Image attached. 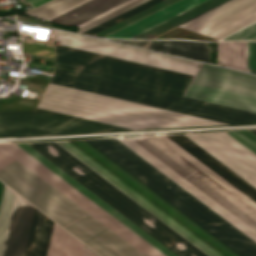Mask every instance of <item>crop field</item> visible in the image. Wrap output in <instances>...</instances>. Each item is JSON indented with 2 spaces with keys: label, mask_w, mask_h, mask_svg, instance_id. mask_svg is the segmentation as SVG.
Returning <instances> with one entry per match:
<instances>
[{
  "label": "crop field",
  "mask_w": 256,
  "mask_h": 256,
  "mask_svg": "<svg viewBox=\"0 0 256 256\" xmlns=\"http://www.w3.org/2000/svg\"><path fill=\"white\" fill-rule=\"evenodd\" d=\"M240 256H256V212L155 137L86 140ZM84 140L56 142L208 256H239ZM54 142L28 143L178 256H207Z\"/></svg>",
  "instance_id": "8a807250"
},
{
  "label": "crop field",
  "mask_w": 256,
  "mask_h": 256,
  "mask_svg": "<svg viewBox=\"0 0 256 256\" xmlns=\"http://www.w3.org/2000/svg\"><path fill=\"white\" fill-rule=\"evenodd\" d=\"M166 256H177L26 143L17 144ZM15 144L0 145L146 256H164ZM0 148V178L23 165ZM0 179L101 256H145L25 166Z\"/></svg>",
  "instance_id": "ac0d7876"
},
{
  "label": "crop field",
  "mask_w": 256,
  "mask_h": 256,
  "mask_svg": "<svg viewBox=\"0 0 256 256\" xmlns=\"http://www.w3.org/2000/svg\"><path fill=\"white\" fill-rule=\"evenodd\" d=\"M38 107L130 129L231 124L52 83Z\"/></svg>",
  "instance_id": "34b2d1b8"
},
{
  "label": "crop field",
  "mask_w": 256,
  "mask_h": 256,
  "mask_svg": "<svg viewBox=\"0 0 256 256\" xmlns=\"http://www.w3.org/2000/svg\"><path fill=\"white\" fill-rule=\"evenodd\" d=\"M52 83L142 102L236 124L256 123V114L57 67Z\"/></svg>",
  "instance_id": "412701ff"
},
{
  "label": "crop field",
  "mask_w": 256,
  "mask_h": 256,
  "mask_svg": "<svg viewBox=\"0 0 256 256\" xmlns=\"http://www.w3.org/2000/svg\"><path fill=\"white\" fill-rule=\"evenodd\" d=\"M57 66L184 96L190 79L55 48Z\"/></svg>",
  "instance_id": "f4fd0767"
},
{
  "label": "crop field",
  "mask_w": 256,
  "mask_h": 256,
  "mask_svg": "<svg viewBox=\"0 0 256 256\" xmlns=\"http://www.w3.org/2000/svg\"><path fill=\"white\" fill-rule=\"evenodd\" d=\"M133 130L36 108L0 113V138L129 132Z\"/></svg>",
  "instance_id": "dd49c442"
},
{
  "label": "crop field",
  "mask_w": 256,
  "mask_h": 256,
  "mask_svg": "<svg viewBox=\"0 0 256 256\" xmlns=\"http://www.w3.org/2000/svg\"><path fill=\"white\" fill-rule=\"evenodd\" d=\"M83 0H52L44 5H41L31 12L39 18L46 19L76 3ZM135 0H85L77 5H74L46 20L63 24H76L80 28L133 2ZM148 0H137L81 29L78 32L83 33L129 9H132Z\"/></svg>",
  "instance_id": "e52e79f7"
},
{
  "label": "crop field",
  "mask_w": 256,
  "mask_h": 256,
  "mask_svg": "<svg viewBox=\"0 0 256 256\" xmlns=\"http://www.w3.org/2000/svg\"><path fill=\"white\" fill-rule=\"evenodd\" d=\"M34 207L4 187L0 204V256H23ZM38 210H34L24 256H28Z\"/></svg>",
  "instance_id": "d8731c3e"
},
{
  "label": "crop field",
  "mask_w": 256,
  "mask_h": 256,
  "mask_svg": "<svg viewBox=\"0 0 256 256\" xmlns=\"http://www.w3.org/2000/svg\"><path fill=\"white\" fill-rule=\"evenodd\" d=\"M256 21V0H229L178 27L221 39Z\"/></svg>",
  "instance_id": "5a996713"
},
{
  "label": "crop field",
  "mask_w": 256,
  "mask_h": 256,
  "mask_svg": "<svg viewBox=\"0 0 256 256\" xmlns=\"http://www.w3.org/2000/svg\"><path fill=\"white\" fill-rule=\"evenodd\" d=\"M256 188V156L225 133L186 135Z\"/></svg>",
  "instance_id": "3316defc"
},
{
  "label": "crop field",
  "mask_w": 256,
  "mask_h": 256,
  "mask_svg": "<svg viewBox=\"0 0 256 256\" xmlns=\"http://www.w3.org/2000/svg\"><path fill=\"white\" fill-rule=\"evenodd\" d=\"M54 36H55V38L61 39V41L55 39V42L60 41V44H62V45H66V46H70V47H74V48H78V49H83V50H87V51H91V52H95V53H100V54H104V55H108V56H112V57H116V58H121V59L129 60V61H133V62H138V63H142V64L154 66V67H159V68H163V69H167V70H171V71H176V72H180V73H184V74H188V75H192V76H195L196 71L198 69L196 67H192V66H188V65H184V64H179V63H175V62H171V61H167V60L149 57V56H145V55H141V54H137V53H132V52L115 49V48H111V47H107V46H103V45L85 42V41L68 38V37H64V36H60V35H56V34H54ZM62 45L55 46V47L78 52V53H83V54H87V55H91V56H95V57H100V58H104V59H108V60H113V61H117V62H121V63H126V64H130V65H134V66H139V67H143V68H147V69H152V70H156V71H160V72H164V73H169V74H173V75H177V76H182V77H186V78H190V79L193 78L192 76H188V75H184V74H180V73H176V72H171V71H167V70H163V69H159V68H154V67H150V66H146V65H142V64H138V63H133V62H129V61L121 60V59H116V58H112V57H108V56H104V55H100V54H95V53H91V52H87V51H83V50H78V49H74V48H70V47H66V46H62Z\"/></svg>",
  "instance_id": "28ad6ade"
},
{
  "label": "crop field",
  "mask_w": 256,
  "mask_h": 256,
  "mask_svg": "<svg viewBox=\"0 0 256 256\" xmlns=\"http://www.w3.org/2000/svg\"><path fill=\"white\" fill-rule=\"evenodd\" d=\"M194 84L256 98V77L202 64Z\"/></svg>",
  "instance_id": "d1516ede"
},
{
  "label": "crop field",
  "mask_w": 256,
  "mask_h": 256,
  "mask_svg": "<svg viewBox=\"0 0 256 256\" xmlns=\"http://www.w3.org/2000/svg\"><path fill=\"white\" fill-rule=\"evenodd\" d=\"M168 137L256 202V189L254 187H252L186 136L175 135Z\"/></svg>",
  "instance_id": "22f410ed"
},
{
  "label": "crop field",
  "mask_w": 256,
  "mask_h": 256,
  "mask_svg": "<svg viewBox=\"0 0 256 256\" xmlns=\"http://www.w3.org/2000/svg\"><path fill=\"white\" fill-rule=\"evenodd\" d=\"M205 0H180L148 17H145L107 37L131 38Z\"/></svg>",
  "instance_id": "cbeb9de0"
},
{
  "label": "crop field",
  "mask_w": 256,
  "mask_h": 256,
  "mask_svg": "<svg viewBox=\"0 0 256 256\" xmlns=\"http://www.w3.org/2000/svg\"><path fill=\"white\" fill-rule=\"evenodd\" d=\"M209 62L206 43L157 40H116Z\"/></svg>",
  "instance_id": "5142ce71"
},
{
  "label": "crop field",
  "mask_w": 256,
  "mask_h": 256,
  "mask_svg": "<svg viewBox=\"0 0 256 256\" xmlns=\"http://www.w3.org/2000/svg\"><path fill=\"white\" fill-rule=\"evenodd\" d=\"M188 97L256 112V99L192 84Z\"/></svg>",
  "instance_id": "d9b57169"
},
{
  "label": "crop field",
  "mask_w": 256,
  "mask_h": 256,
  "mask_svg": "<svg viewBox=\"0 0 256 256\" xmlns=\"http://www.w3.org/2000/svg\"><path fill=\"white\" fill-rule=\"evenodd\" d=\"M84 248L85 245L55 224L47 256H83Z\"/></svg>",
  "instance_id": "733c2abd"
},
{
  "label": "crop field",
  "mask_w": 256,
  "mask_h": 256,
  "mask_svg": "<svg viewBox=\"0 0 256 256\" xmlns=\"http://www.w3.org/2000/svg\"><path fill=\"white\" fill-rule=\"evenodd\" d=\"M157 138L256 211L255 202H253L251 199H249L247 196H245L231 184L226 182L224 179H222L220 176H218L216 173H214L212 170H210L208 167H206L204 164H202L200 161H198L196 158H194L192 155H190L188 152H186L172 140H170L168 137L160 136Z\"/></svg>",
  "instance_id": "4a817a6b"
},
{
  "label": "crop field",
  "mask_w": 256,
  "mask_h": 256,
  "mask_svg": "<svg viewBox=\"0 0 256 256\" xmlns=\"http://www.w3.org/2000/svg\"><path fill=\"white\" fill-rule=\"evenodd\" d=\"M227 0H207L133 38H153Z\"/></svg>",
  "instance_id": "bc2a9ffb"
},
{
  "label": "crop field",
  "mask_w": 256,
  "mask_h": 256,
  "mask_svg": "<svg viewBox=\"0 0 256 256\" xmlns=\"http://www.w3.org/2000/svg\"><path fill=\"white\" fill-rule=\"evenodd\" d=\"M218 64L247 72V42H219Z\"/></svg>",
  "instance_id": "214f88e0"
},
{
  "label": "crop field",
  "mask_w": 256,
  "mask_h": 256,
  "mask_svg": "<svg viewBox=\"0 0 256 256\" xmlns=\"http://www.w3.org/2000/svg\"><path fill=\"white\" fill-rule=\"evenodd\" d=\"M53 224L54 222L42 213H38L29 256H46Z\"/></svg>",
  "instance_id": "92a150f3"
},
{
  "label": "crop field",
  "mask_w": 256,
  "mask_h": 256,
  "mask_svg": "<svg viewBox=\"0 0 256 256\" xmlns=\"http://www.w3.org/2000/svg\"><path fill=\"white\" fill-rule=\"evenodd\" d=\"M54 33L81 39V40H85V41H90V42H94V43H98V44H103V45H107V46H111V47H115V48H120V49H124V50H128V51H132V52H137V53H141V54H145V55H149V56H154V57H158V58H162V59H167V60H171V61H175V62H179V63H184V64L196 66V67L200 66L199 63H195V62H191V61H187V60H183V59H179V58H174V57H170V56H166V55H162V54H158V53H153V52H149V51H145V50H141V49H137V48H133V47H128V46H124V45H120V44H116V43H112V42H108V41H103V40H99V39H95V38L78 36V35L62 32V31H58V30H54Z\"/></svg>",
  "instance_id": "dafd665d"
},
{
  "label": "crop field",
  "mask_w": 256,
  "mask_h": 256,
  "mask_svg": "<svg viewBox=\"0 0 256 256\" xmlns=\"http://www.w3.org/2000/svg\"><path fill=\"white\" fill-rule=\"evenodd\" d=\"M173 1H175V0H163V1L153 5L151 7L135 14V15H132V16H130V17H128V18H126V19H124V20H122V21H120V22H118V23H116V24L98 32V33H96V34H94L93 36L102 37V36L112 32V31H114V30H116V29H118V28H120V27H122V26H124V25L142 17V16H145V15H147V14H149V13H151V12H153V11H155V10H157V9H159V8L165 6V5H167V4H169Z\"/></svg>",
  "instance_id": "00972430"
},
{
  "label": "crop field",
  "mask_w": 256,
  "mask_h": 256,
  "mask_svg": "<svg viewBox=\"0 0 256 256\" xmlns=\"http://www.w3.org/2000/svg\"><path fill=\"white\" fill-rule=\"evenodd\" d=\"M229 136L256 155V135L249 130L227 132Z\"/></svg>",
  "instance_id": "a9b5d70f"
},
{
  "label": "crop field",
  "mask_w": 256,
  "mask_h": 256,
  "mask_svg": "<svg viewBox=\"0 0 256 256\" xmlns=\"http://www.w3.org/2000/svg\"><path fill=\"white\" fill-rule=\"evenodd\" d=\"M159 1H161V0H150V1H148L144 4H142V5L126 12V13H123V14H121V15H119V16H117V17H115V18H113V19H111V20H109V21H107V22H105V23L87 31V32H85L84 34L92 35V34L98 32V31H100V30H102V29H104V28H106V27H108V26H110V25H112V24L130 16V15H132V14H135V13H137V12H139V11H141V10H143V9H145V8L151 6V5H153V4H155Z\"/></svg>",
  "instance_id": "4177f3b9"
},
{
  "label": "crop field",
  "mask_w": 256,
  "mask_h": 256,
  "mask_svg": "<svg viewBox=\"0 0 256 256\" xmlns=\"http://www.w3.org/2000/svg\"><path fill=\"white\" fill-rule=\"evenodd\" d=\"M23 52L54 58L53 47L22 42Z\"/></svg>",
  "instance_id": "730fd06b"
},
{
  "label": "crop field",
  "mask_w": 256,
  "mask_h": 256,
  "mask_svg": "<svg viewBox=\"0 0 256 256\" xmlns=\"http://www.w3.org/2000/svg\"><path fill=\"white\" fill-rule=\"evenodd\" d=\"M224 40H256V23Z\"/></svg>",
  "instance_id": "eef30255"
},
{
  "label": "crop field",
  "mask_w": 256,
  "mask_h": 256,
  "mask_svg": "<svg viewBox=\"0 0 256 256\" xmlns=\"http://www.w3.org/2000/svg\"><path fill=\"white\" fill-rule=\"evenodd\" d=\"M248 72L256 74V42H248Z\"/></svg>",
  "instance_id": "ae1a2a85"
},
{
  "label": "crop field",
  "mask_w": 256,
  "mask_h": 256,
  "mask_svg": "<svg viewBox=\"0 0 256 256\" xmlns=\"http://www.w3.org/2000/svg\"><path fill=\"white\" fill-rule=\"evenodd\" d=\"M84 256H98L93 251H91L89 248H85Z\"/></svg>",
  "instance_id": "d3111659"
},
{
  "label": "crop field",
  "mask_w": 256,
  "mask_h": 256,
  "mask_svg": "<svg viewBox=\"0 0 256 256\" xmlns=\"http://www.w3.org/2000/svg\"><path fill=\"white\" fill-rule=\"evenodd\" d=\"M29 1L33 4L34 7H36V6L46 2L48 0H29Z\"/></svg>",
  "instance_id": "750c4746"
},
{
  "label": "crop field",
  "mask_w": 256,
  "mask_h": 256,
  "mask_svg": "<svg viewBox=\"0 0 256 256\" xmlns=\"http://www.w3.org/2000/svg\"><path fill=\"white\" fill-rule=\"evenodd\" d=\"M3 187H4V184L0 182V199L3 191Z\"/></svg>",
  "instance_id": "bd1437ed"
},
{
  "label": "crop field",
  "mask_w": 256,
  "mask_h": 256,
  "mask_svg": "<svg viewBox=\"0 0 256 256\" xmlns=\"http://www.w3.org/2000/svg\"><path fill=\"white\" fill-rule=\"evenodd\" d=\"M44 64H47V65L51 64V65H53V63L51 61H47V60H45Z\"/></svg>",
  "instance_id": "1d83c4d3"
},
{
  "label": "crop field",
  "mask_w": 256,
  "mask_h": 256,
  "mask_svg": "<svg viewBox=\"0 0 256 256\" xmlns=\"http://www.w3.org/2000/svg\"><path fill=\"white\" fill-rule=\"evenodd\" d=\"M31 67H36V68H40L39 65H33V64H30Z\"/></svg>",
  "instance_id": "120bbe31"
},
{
  "label": "crop field",
  "mask_w": 256,
  "mask_h": 256,
  "mask_svg": "<svg viewBox=\"0 0 256 256\" xmlns=\"http://www.w3.org/2000/svg\"><path fill=\"white\" fill-rule=\"evenodd\" d=\"M250 131H252L254 134H256V130H250Z\"/></svg>",
  "instance_id": "d32e631a"
}]
</instances>
